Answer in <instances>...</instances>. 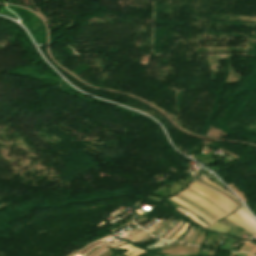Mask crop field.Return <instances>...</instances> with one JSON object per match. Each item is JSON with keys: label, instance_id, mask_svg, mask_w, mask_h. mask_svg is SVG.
I'll use <instances>...</instances> for the list:
<instances>
[{"label": "crop field", "instance_id": "1", "mask_svg": "<svg viewBox=\"0 0 256 256\" xmlns=\"http://www.w3.org/2000/svg\"><path fill=\"white\" fill-rule=\"evenodd\" d=\"M179 194H181V195L185 196L186 198L190 199L191 201L199 204L204 209H206L207 211H209L210 213H212L213 215H215L218 218L225 215L223 212H221L220 210L215 208L213 205L208 203L206 200H204L200 196H198V195H196V194H194V193H192L188 190H184Z\"/></svg>", "mask_w": 256, "mask_h": 256}, {"label": "crop field", "instance_id": "2", "mask_svg": "<svg viewBox=\"0 0 256 256\" xmlns=\"http://www.w3.org/2000/svg\"><path fill=\"white\" fill-rule=\"evenodd\" d=\"M192 183H194V182H192ZM192 183H191V185H193V186L197 185L198 187H200V188H202V189H204V190H206V191H208V192L213 193L214 195H216V196H218L219 198H221V199H223L224 201H226V202H227L229 205H231L234 209H236V207H235L234 205H232V204H231L228 200H226L224 197H222V196H220V195H218V194H216V193H214V192H212V191H210V190H208V189H206V188H204V187H202V186H200V185H198V184H196V183H194L195 185L192 184ZM191 185H190V187H192V188H194V189H196V190H198V191L204 193V194L207 195V196H209V195L213 196L214 198H216L217 200H219L221 203H223L225 206H227L229 209H231L232 211L234 210V209H233L232 207H230L226 202H224L223 200L219 199L218 197H216V196H214V195H212V194H210V193H208V192L205 191L206 193L209 194V195H208V194H206L205 192H203L204 190L201 191L202 189L199 190L200 188L197 189V188H198L197 186H195V187H197V188H195V187H193V186H191ZM190 187H188V188H190ZM192 188H190V189H192ZM194 189H192V190H194ZM196 190H194V191H196ZM198 191H196V192L199 193V194H201V195H203V196H205L204 194H202V193H200V192H198ZM207 196H205V197L208 198V199H210V198L214 199V198L211 197V196H209L210 198L207 197ZM212 199H210V200H212ZM216 199H214V200L217 201ZM214 200H212V201L215 202ZM217 202H218V201H217ZM217 202H215L217 205L221 204L220 202H218L219 204H218ZM221 205H222V204H221ZM221 205H219L221 208H223V207L226 208L224 205H222L223 207H222ZM224 208H223V209H224ZM228 208H226V209H227L229 212H231V210H229ZM224 210H225V209H224ZM227 210H225V211H227ZM228 211H227V212H228ZM229 212H228V213H229Z\"/></svg>", "mask_w": 256, "mask_h": 256}, {"label": "crop field", "instance_id": "3", "mask_svg": "<svg viewBox=\"0 0 256 256\" xmlns=\"http://www.w3.org/2000/svg\"><path fill=\"white\" fill-rule=\"evenodd\" d=\"M235 214H237L241 219H243L245 222H247L248 224H250L251 226H253L256 229V222L255 220L252 218V216L246 211L245 207L239 209L238 211L234 212ZM231 214L233 215L235 218H237L238 220H240L241 222H243L245 225H247L248 227L252 228L253 230H255L253 227H251L250 225H248L247 223H245L243 220H241L237 215L235 214ZM256 231V230H255Z\"/></svg>", "mask_w": 256, "mask_h": 256}, {"label": "crop field", "instance_id": "4", "mask_svg": "<svg viewBox=\"0 0 256 256\" xmlns=\"http://www.w3.org/2000/svg\"><path fill=\"white\" fill-rule=\"evenodd\" d=\"M119 248L127 249L128 251L123 253V254L127 255V254L132 253V255H130V256H139V255L145 253V251L140 250V249H138V248H136V247H134V246H132L130 244H127V245H125L123 247H119ZM116 249H118V248H116Z\"/></svg>", "mask_w": 256, "mask_h": 256}, {"label": "crop field", "instance_id": "5", "mask_svg": "<svg viewBox=\"0 0 256 256\" xmlns=\"http://www.w3.org/2000/svg\"><path fill=\"white\" fill-rule=\"evenodd\" d=\"M207 229L211 230V231H215V232L225 234L228 231L229 227H227L225 225H222L218 222H215V223L211 224L210 226H208Z\"/></svg>", "mask_w": 256, "mask_h": 256}, {"label": "crop field", "instance_id": "6", "mask_svg": "<svg viewBox=\"0 0 256 256\" xmlns=\"http://www.w3.org/2000/svg\"><path fill=\"white\" fill-rule=\"evenodd\" d=\"M224 219H226V220H228V221H230V222H232V223H234V224H236V225H238V226H240V227H242V228L248 230V231L251 232L252 234L256 235V232H255V231L251 230L250 228H248L247 226H245L243 223H241L240 221H238L237 219H235V218L232 217L231 215L228 216V217H226V218H224Z\"/></svg>", "mask_w": 256, "mask_h": 256}, {"label": "crop field", "instance_id": "7", "mask_svg": "<svg viewBox=\"0 0 256 256\" xmlns=\"http://www.w3.org/2000/svg\"><path fill=\"white\" fill-rule=\"evenodd\" d=\"M124 244H127V242H125L124 240L116 243V244H113V245H110L108 247L110 248H116V247H119L121 245H124ZM109 249L107 248H103L102 250H100L97 254H95L94 256H101L102 254H104L106 251H108Z\"/></svg>", "mask_w": 256, "mask_h": 256}, {"label": "crop field", "instance_id": "8", "mask_svg": "<svg viewBox=\"0 0 256 256\" xmlns=\"http://www.w3.org/2000/svg\"><path fill=\"white\" fill-rule=\"evenodd\" d=\"M178 195H179V194H178ZM178 195H175V196H177V197L181 198L182 200L186 201L187 203H189V204H191V205L195 206L196 208L200 209L203 213L206 211V210L204 211L202 208L198 207L199 205H198V206H196V205H194V204L190 203V202H189L190 200H189V201H187L188 199H187V200H185L186 198H185V199H183V198H182L183 196H182V197H180L181 195H180V196H178ZM175 196H174V197H175ZM177 197H176V198H177ZM179 198H178V199H179ZM184 201H183V202H184ZM186 202H185V203H186ZM200 210H199V211H200ZM201 211H200V212H201ZM206 212H207V211H206ZM206 212H205V213H206ZM205 213H204V215H206L207 217H209L210 215H212V214H210L209 212H208V213H209L210 215L207 213L209 216H208L207 214H205ZM212 216H213V215H212ZM212 216H211V217H212ZM211 217H209L211 220H213L214 218H216L215 216H213L214 218L212 217L213 219H212ZM216 219H218V218H216ZM216 219H215V220H216ZM213 221H214V220H213Z\"/></svg>", "mask_w": 256, "mask_h": 256}, {"label": "crop field", "instance_id": "9", "mask_svg": "<svg viewBox=\"0 0 256 256\" xmlns=\"http://www.w3.org/2000/svg\"><path fill=\"white\" fill-rule=\"evenodd\" d=\"M169 199H171V198H169ZM171 200H173V199H171ZM174 202H176V203H178V204H180L181 206H183V207H185V208H187V209H189V210H191L190 208H188L187 206H185V205H183V204H181V203H179V202H177V201H175V200H173ZM192 212H194L193 210H191ZM196 215H198L200 218H202L203 220H205V221H207V222H209L208 220H206L204 217H202L201 215H199V214H197L196 212H194ZM210 223V222H209Z\"/></svg>", "mask_w": 256, "mask_h": 256}, {"label": "crop field", "instance_id": "10", "mask_svg": "<svg viewBox=\"0 0 256 256\" xmlns=\"http://www.w3.org/2000/svg\"><path fill=\"white\" fill-rule=\"evenodd\" d=\"M188 224H185V226L172 238V239H177L187 228Z\"/></svg>", "mask_w": 256, "mask_h": 256}, {"label": "crop field", "instance_id": "11", "mask_svg": "<svg viewBox=\"0 0 256 256\" xmlns=\"http://www.w3.org/2000/svg\"><path fill=\"white\" fill-rule=\"evenodd\" d=\"M171 198H173V199H175V200H177V201H179V202H181L180 200H178V199H176V198H174V197H171ZM181 203H183V202H181ZM183 204H185V203H183ZM185 205H187V204H185ZM188 207H190L189 205H187ZM191 209H193L194 211H196L197 213H199V214H201L202 216H204L202 213H200L198 210H196V209H194V208H192V207H190ZM206 219H208L209 221H211L209 218H207L206 216H204ZM211 222H213V221H211Z\"/></svg>", "mask_w": 256, "mask_h": 256}, {"label": "crop field", "instance_id": "12", "mask_svg": "<svg viewBox=\"0 0 256 256\" xmlns=\"http://www.w3.org/2000/svg\"><path fill=\"white\" fill-rule=\"evenodd\" d=\"M194 181H196V180H194ZM197 182V181H196ZM199 183V182H198ZM199 184H201V183H199ZM201 185H203V184H201ZM203 186H205V185H203ZM205 187H207V186H205ZM207 188H209V187H207ZM209 189H211V188H209ZM212 190V189H211ZM213 191H215V190H213ZM215 192H217V191H215ZM217 193H219V192H217ZM219 194H221V193H219ZM222 196H224L226 199H228L231 203H233L229 198H227L225 195H223V194H221ZM236 207H238L235 203H233Z\"/></svg>", "mask_w": 256, "mask_h": 256}, {"label": "crop field", "instance_id": "13", "mask_svg": "<svg viewBox=\"0 0 256 256\" xmlns=\"http://www.w3.org/2000/svg\"><path fill=\"white\" fill-rule=\"evenodd\" d=\"M188 190H190V189H188ZM190 191H192V190H190ZM192 192H194V191H192ZM194 193H196V192H194ZM197 194V193H196ZM199 195V194H198ZM201 196V195H200ZM202 198V197H201ZM204 198V197H203ZM205 199V198H204ZM207 200V199H206ZM207 201H209V200H207ZM211 204H213L215 207H217L218 209H220L221 211H223L224 213H226L224 210H222L220 207H218L216 204H214L213 202H211V201H209ZM226 214H228V213H226Z\"/></svg>", "mask_w": 256, "mask_h": 256}, {"label": "crop field", "instance_id": "14", "mask_svg": "<svg viewBox=\"0 0 256 256\" xmlns=\"http://www.w3.org/2000/svg\"><path fill=\"white\" fill-rule=\"evenodd\" d=\"M177 209H179V210H181V211H183V212L189 214V215L192 216L195 220H197V221L200 222L201 224L205 225L204 223H202L201 221H199L196 217H194L192 214H190V213H188V212H186V211H184V210H182V209H180V208H177ZM192 217H191V218H192ZM205 226H207V225H205Z\"/></svg>", "mask_w": 256, "mask_h": 256}, {"label": "crop field", "instance_id": "15", "mask_svg": "<svg viewBox=\"0 0 256 256\" xmlns=\"http://www.w3.org/2000/svg\"><path fill=\"white\" fill-rule=\"evenodd\" d=\"M111 235V234H110ZM110 235H108V236H110ZM108 236H106V237H108ZM106 237H104V238H106ZM104 238H102V239H104ZM102 239H99V240H102ZM96 241H98V240H96ZM96 241H94V242H96ZM94 242H92V243H94ZM92 243H89V244H87L86 246H84L81 250H83L84 248H86V247H88L89 245H91ZM81 250H79V251H81ZM78 251V252H79ZM77 252V253H78ZM77 253H75L73 256H75Z\"/></svg>", "mask_w": 256, "mask_h": 256}, {"label": "crop field", "instance_id": "16", "mask_svg": "<svg viewBox=\"0 0 256 256\" xmlns=\"http://www.w3.org/2000/svg\"><path fill=\"white\" fill-rule=\"evenodd\" d=\"M182 223H183V221L167 237H165L164 239H167L173 232H175L180 227V225Z\"/></svg>", "mask_w": 256, "mask_h": 256}, {"label": "crop field", "instance_id": "17", "mask_svg": "<svg viewBox=\"0 0 256 256\" xmlns=\"http://www.w3.org/2000/svg\"><path fill=\"white\" fill-rule=\"evenodd\" d=\"M180 222V221H179ZM178 222V223H179ZM178 223L177 224H175L167 233H165L162 237H164L166 234H168L171 230H173L177 225H178ZM162 237H160V238H162Z\"/></svg>", "mask_w": 256, "mask_h": 256}, {"label": "crop field", "instance_id": "18", "mask_svg": "<svg viewBox=\"0 0 256 256\" xmlns=\"http://www.w3.org/2000/svg\"><path fill=\"white\" fill-rule=\"evenodd\" d=\"M163 219H164V218H163ZM163 219H162V220H163ZM162 220H161V221H162ZM159 222H160V221H159ZM159 222H158V223H159ZM158 223H156V224H158ZM156 224H154L153 226H155ZM153 226H151L149 229H151ZM149 229H147V231H148Z\"/></svg>", "mask_w": 256, "mask_h": 256}, {"label": "crop field", "instance_id": "19", "mask_svg": "<svg viewBox=\"0 0 256 256\" xmlns=\"http://www.w3.org/2000/svg\"><path fill=\"white\" fill-rule=\"evenodd\" d=\"M145 231H143V232H141V233H139V234H142V233H144ZM139 234H137V235H139ZM137 235H135V236H137ZM132 237H134V236H132ZM131 238V237H130ZM127 239H129V238H127Z\"/></svg>", "mask_w": 256, "mask_h": 256}]
</instances>
